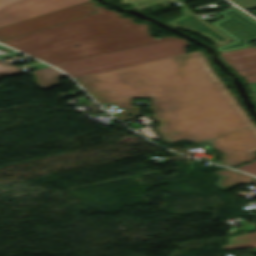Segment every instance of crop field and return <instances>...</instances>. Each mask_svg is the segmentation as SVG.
<instances>
[{
    "label": "crop field",
    "mask_w": 256,
    "mask_h": 256,
    "mask_svg": "<svg viewBox=\"0 0 256 256\" xmlns=\"http://www.w3.org/2000/svg\"><path fill=\"white\" fill-rule=\"evenodd\" d=\"M75 80L97 102L125 107L113 113L121 121L141 116L132 98H151L148 110L165 143L208 141L229 167L256 158V124L201 50Z\"/></svg>",
    "instance_id": "obj_1"
},
{
    "label": "crop field",
    "mask_w": 256,
    "mask_h": 256,
    "mask_svg": "<svg viewBox=\"0 0 256 256\" xmlns=\"http://www.w3.org/2000/svg\"><path fill=\"white\" fill-rule=\"evenodd\" d=\"M97 13L2 42L52 65L103 53L178 39L148 35L146 24H135L95 5Z\"/></svg>",
    "instance_id": "obj_2"
},
{
    "label": "crop field",
    "mask_w": 256,
    "mask_h": 256,
    "mask_svg": "<svg viewBox=\"0 0 256 256\" xmlns=\"http://www.w3.org/2000/svg\"><path fill=\"white\" fill-rule=\"evenodd\" d=\"M188 46L181 39L103 54L82 60L56 65L73 78L126 67L142 62L185 53Z\"/></svg>",
    "instance_id": "obj_3"
},
{
    "label": "crop field",
    "mask_w": 256,
    "mask_h": 256,
    "mask_svg": "<svg viewBox=\"0 0 256 256\" xmlns=\"http://www.w3.org/2000/svg\"><path fill=\"white\" fill-rule=\"evenodd\" d=\"M95 0L0 27V42L7 39L95 13Z\"/></svg>",
    "instance_id": "obj_4"
},
{
    "label": "crop field",
    "mask_w": 256,
    "mask_h": 256,
    "mask_svg": "<svg viewBox=\"0 0 256 256\" xmlns=\"http://www.w3.org/2000/svg\"><path fill=\"white\" fill-rule=\"evenodd\" d=\"M218 13L225 18L211 24L232 38L233 41L216 48V51L223 52L250 47L251 45L246 42L256 39V21L234 7Z\"/></svg>",
    "instance_id": "obj_5"
},
{
    "label": "crop field",
    "mask_w": 256,
    "mask_h": 256,
    "mask_svg": "<svg viewBox=\"0 0 256 256\" xmlns=\"http://www.w3.org/2000/svg\"><path fill=\"white\" fill-rule=\"evenodd\" d=\"M163 1L166 0H121L119 3L123 5L130 3L132 4L130 7L141 10ZM169 1L180 4L182 6V13L185 15L177 17L171 21H167L168 24L184 30L196 32L204 37L210 38L216 47L232 40L177 0Z\"/></svg>",
    "instance_id": "obj_6"
},
{
    "label": "crop field",
    "mask_w": 256,
    "mask_h": 256,
    "mask_svg": "<svg viewBox=\"0 0 256 256\" xmlns=\"http://www.w3.org/2000/svg\"><path fill=\"white\" fill-rule=\"evenodd\" d=\"M88 0H21L0 9V26Z\"/></svg>",
    "instance_id": "obj_7"
},
{
    "label": "crop field",
    "mask_w": 256,
    "mask_h": 256,
    "mask_svg": "<svg viewBox=\"0 0 256 256\" xmlns=\"http://www.w3.org/2000/svg\"><path fill=\"white\" fill-rule=\"evenodd\" d=\"M224 61L247 83L256 82V47L220 53Z\"/></svg>",
    "instance_id": "obj_8"
},
{
    "label": "crop field",
    "mask_w": 256,
    "mask_h": 256,
    "mask_svg": "<svg viewBox=\"0 0 256 256\" xmlns=\"http://www.w3.org/2000/svg\"><path fill=\"white\" fill-rule=\"evenodd\" d=\"M214 174L219 177L218 181L215 182L216 185L223 190H226L240 182L248 185L253 181H256V178L250 175L237 172L234 170H230V169L217 170V171H214Z\"/></svg>",
    "instance_id": "obj_9"
},
{
    "label": "crop field",
    "mask_w": 256,
    "mask_h": 256,
    "mask_svg": "<svg viewBox=\"0 0 256 256\" xmlns=\"http://www.w3.org/2000/svg\"><path fill=\"white\" fill-rule=\"evenodd\" d=\"M37 83L42 87L56 85L59 77L63 76L62 73L52 67L37 70L33 72Z\"/></svg>",
    "instance_id": "obj_10"
},
{
    "label": "crop field",
    "mask_w": 256,
    "mask_h": 256,
    "mask_svg": "<svg viewBox=\"0 0 256 256\" xmlns=\"http://www.w3.org/2000/svg\"><path fill=\"white\" fill-rule=\"evenodd\" d=\"M222 247L223 249L256 247V233L229 237L227 245Z\"/></svg>",
    "instance_id": "obj_11"
},
{
    "label": "crop field",
    "mask_w": 256,
    "mask_h": 256,
    "mask_svg": "<svg viewBox=\"0 0 256 256\" xmlns=\"http://www.w3.org/2000/svg\"><path fill=\"white\" fill-rule=\"evenodd\" d=\"M20 71V68L8 65L2 61H0V75L3 73H7L9 75H12L16 72Z\"/></svg>",
    "instance_id": "obj_12"
},
{
    "label": "crop field",
    "mask_w": 256,
    "mask_h": 256,
    "mask_svg": "<svg viewBox=\"0 0 256 256\" xmlns=\"http://www.w3.org/2000/svg\"><path fill=\"white\" fill-rule=\"evenodd\" d=\"M236 169H241V170H244V171H247V172L256 174V161H255V162H252V163H249V164H247V165L238 167V168H236Z\"/></svg>",
    "instance_id": "obj_13"
},
{
    "label": "crop field",
    "mask_w": 256,
    "mask_h": 256,
    "mask_svg": "<svg viewBox=\"0 0 256 256\" xmlns=\"http://www.w3.org/2000/svg\"><path fill=\"white\" fill-rule=\"evenodd\" d=\"M16 1H19V0H0V8L7 6L9 4H12Z\"/></svg>",
    "instance_id": "obj_14"
},
{
    "label": "crop field",
    "mask_w": 256,
    "mask_h": 256,
    "mask_svg": "<svg viewBox=\"0 0 256 256\" xmlns=\"http://www.w3.org/2000/svg\"><path fill=\"white\" fill-rule=\"evenodd\" d=\"M249 88L252 91L253 97L256 100V83L248 84Z\"/></svg>",
    "instance_id": "obj_15"
},
{
    "label": "crop field",
    "mask_w": 256,
    "mask_h": 256,
    "mask_svg": "<svg viewBox=\"0 0 256 256\" xmlns=\"http://www.w3.org/2000/svg\"><path fill=\"white\" fill-rule=\"evenodd\" d=\"M178 1L182 2V1H185V0H178Z\"/></svg>",
    "instance_id": "obj_16"
},
{
    "label": "crop field",
    "mask_w": 256,
    "mask_h": 256,
    "mask_svg": "<svg viewBox=\"0 0 256 256\" xmlns=\"http://www.w3.org/2000/svg\"><path fill=\"white\" fill-rule=\"evenodd\" d=\"M251 13H253L252 11H250ZM253 14H255V13H253ZM256 15V14H255Z\"/></svg>",
    "instance_id": "obj_17"
},
{
    "label": "crop field",
    "mask_w": 256,
    "mask_h": 256,
    "mask_svg": "<svg viewBox=\"0 0 256 256\" xmlns=\"http://www.w3.org/2000/svg\"><path fill=\"white\" fill-rule=\"evenodd\" d=\"M256 184V182H254Z\"/></svg>",
    "instance_id": "obj_18"
}]
</instances>
